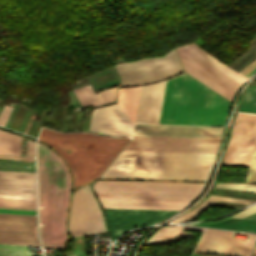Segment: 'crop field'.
I'll return each mask as SVG.
<instances>
[{
	"label": "crop field",
	"instance_id": "16",
	"mask_svg": "<svg viewBox=\"0 0 256 256\" xmlns=\"http://www.w3.org/2000/svg\"><path fill=\"white\" fill-rule=\"evenodd\" d=\"M165 82L142 86L135 122H159Z\"/></svg>",
	"mask_w": 256,
	"mask_h": 256
},
{
	"label": "crop field",
	"instance_id": "17",
	"mask_svg": "<svg viewBox=\"0 0 256 256\" xmlns=\"http://www.w3.org/2000/svg\"><path fill=\"white\" fill-rule=\"evenodd\" d=\"M0 194L35 196V173L0 171Z\"/></svg>",
	"mask_w": 256,
	"mask_h": 256
},
{
	"label": "crop field",
	"instance_id": "4",
	"mask_svg": "<svg viewBox=\"0 0 256 256\" xmlns=\"http://www.w3.org/2000/svg\"><path fill=\"white\" fill-rule=\"evenodd\" d=\"M229 102L186 73L166 82L159 124L224 125Z\"/></svg>",
	"mask_w": 256,
	"mask_h": 256
},
{
	"label": "crop field",
	"instance_id": "27",
	"mask_svg": "<svg viewBox=\"0 0 256 256\" xmlns=\"http://www.w3.org/2000/svg\"><path fill=\"white\" fill-rule=\"evenodd\" d=\"M0 256H43L30 253L28 246L0 244Z\"/></svg>",
	"mask_w": 256,
	"mask_h": 256
},
{
	"label": "crop field",
	"instance_id": "6",
	"mask_svg": "<svg viewBox=\"0 0 256 256\" xmlns=\"http://www.w3.org/2000/svg\"><path fill=\"white\" fill-rule=\"evenodd\" d=\"M121 85H140L169 77L182 70L174 50L164 57L148 58L116 66Z\"/></svg>",
	"mask_w": 256,
	"mask_h": 256
},
{
	"label": "crop field",
	"instance_id": "42",
	"mask_svg": "<svg viewBox=\"0 0 256 256\" xmlns=\"http://www.w3.org/2000/svg\"><path fill=\"white\" fill-rule=\"evenodd\" d=\"M71 256H84V254H76V255H71Z\"/></svg>",
	"mask_w": 256,
	"mask_h": 256
},
{
	"label": "crop field",
	"instance_id": "13",
	"mask_svg": "<svg viewBox=\"0 0 256 256\" xmlns=\"http://www.w3.org/2000/svg\"><path fill=\"white\" fill-rule=\"evenodd\" d=\"M0 243L40 246L35 216L0 214Z\"/></svg>",
	"mask_w": 256,
	"mask_h": 256
},
{
	"label": "crop field",
	"instance_id": "39",
	"mask_svg": "<svg viewBox=\"0 0 256 256\" xmlns=\"http://www.w3.org/2000/svg\"><path fill=\"white\" fill-rule=\"evenodd\" d=\"M0 197H13V198H28V199H35V197H28V196H13V195H0Z\"/></svg>",
	"mask_w": 256,
	"mask_h": 256
},
{
	"label": "crop field",
	"instance_id": "5",
	"mask_svg": "<svg viewBox=\"0 0 256 256\" xmlns=\"http://www.w3.org/2000/svg\"><path fill=\"white\" fill-rule=\"evenodd\" d=\"M38 140L63 157L76 187L98 178L129 138L102 137L91 133L59 134L42 128Z\"/></svg>",
	"mask_w": 256,
	"mask_h": 256
},
{
	"label": "crop field",
	"instance_id": "41",
	"mask_svg": "<svg viewBox=\"0 0 256 256\" xmlns=\"http://www.w3.org/2000/svg\"><path fill=\"white\" fill-rule=\"evenodd\" d=\"M0 157H10V158H25V159H32V158H26V157H11V156H0Z\"/></svg>",
	"mask_w": 256,
	"mask_h": 256
},
{
	"label": "crop field",
	"instance_id": "20",
	"mask_svg": "<svg viewBox=\"0 0 256 256\" xmlns=\"http://www.w3.org/2000/svg\"><path fill=\"white\" fill-rule=\"evenodd\" d=\"M141 86L119 88L117 104L134 122Z\"/></svg>",
	"mask_w": 256,
	"mask_h": 256
},
{
	"label": "crop field",
	"instance_id": "11",
	"mask_svg": "<svg viewBox=\"0 0 256 256\" xmlns=\"http://www.w3.org/2000/svg\"><path fill=\"white\" fill-rule=\"evenodd\" d=\"M245 234H248L246 241L233 238V232L205 229L194 252L228 256H249L256 241V234Z\"/></svg>",
	"mask_w": 256,
	"mask_h": 256
},
{
	"label": "crop field",
	"instance_id": "15",
	"mask_svg": "<svg viewBox=\"0 0 256 256\" xmlns=\"http://www.w3.org/2000/svg\"><path fill=\"white\" fill-rule=\"evenodd\" d=\"M223 127L135 124L133 135L220 138Z\"/></svg>",
	"mask_w": 256,
	"mask_h": 256
},
{
	"label": "crop field",
	"instance_id": "40",
	"mask_svg": "<svg viewBox=\"0 0 256 256\" xmlns=\"http://www.w3.org/2000/svg\"><path fill=\"white\" fill-rule=\"evenodd\" d=\"M65 111H66V108H64V111H63V117H62L61 126H63V123H64ZM61 130H63V127H61Z\"/></svg>",
	"mask_w": 256,
	"mask_h": 256
},
{
	"label": "crop field",
	"instance_id": "44",
	"mask_svg": "<svg viewBox=\"0 0 256 256\" xmlns=\"http://www.w3.org/2000/svg\"><path fill=\"white\" fill-rule=\"evenodd\" d=\"M255 249V248H254Z\"/></svg>",
	"mask_w": 256,
	"mask_h": 256
},
{
	"label": "crop field",
	"instance_id": "23",
	"mask_svg": "<svg viewBox=\"0 0 256 256\" xmlns=\"http://www.w3.org/2000/svg\"><path fill=\"white\" fill-rule=\"evenodd\" d=\"M20 137L0 130V155L18 156Z\"/></svg>",
	"mask_w": 256,
	"mask_h": 256
},
{
	"label": "crop field",
	"instance_id": "37",
	"mask_svg": "<svg viewBox=\"0 0 256 256\" xmlns=\"http://www.w3.org/2000/svg\"><path fill=\"white\" fill-rule=\"evenodd\" d=\"M45 111V110H44ZM49 111V110H47ZM42 112L43 110L41 111V115H40V119H41V116H42ZM51 118H52V115L51 114H47V113H44L43 112V116H42V119L41 120H47V121H51ZM39 119V120H40Z\"/></svg>",
	"mask_w": 256,
	"mask_h": 256
},
{
	"label": "crop field",
	"instance_id": "36",
	"mask_svg": "<svg viewBox=\"0 0 256 256\" xmlns=\"http://www.w3.org/2000/svg\"><path fill=\"white\" fill-rule=\"evenodd\" d=\"M35 142L28 140L27 156L34 157Z\"/></svg>",
	"mask_w": 256,
	"mask_h": 256
},
{
	"label": "crop field",
	"instance_id": "18",
	"mask_svg": "<svg viewBox=\"0 0 256 256\" xmlns=\"http://www.w3.org/2000/svg\"><path fill=\"white\" fill-rule=\"evenodd\" d=\"M116 87L108 88L95 94L92 86L89 84L74 89V92L79 99L82 107L90 104L92 106H97L105 103L115 102Z\"/></svg>",
	"mask_w": 256,
	"mask_h": 256
},
{
	"label": "crop field",
	"instance_id": "33",
	"mask_svg": "<svg viewBox=\"0 0 256 256\" xmlns=\"http://www.w3.org/2000/svg\"><path fill=\"white\" fill-rule=\"evenodd\" d=\"M200 212L201 211H198V210H192V211L180 216L179 218H177L176 220H174L171 223H177V222H182V221H186V220H195Z\"/></svg>",
	"mask_w": 256,
	"mask_h": 256
},
{
	"label": "crop field",
	"instance_id": "22",
	"mask_svg": "<svg viewBox=\"0 0 256 256\" xmlns=\"http://www.w3.org/2000/svg\"><path fill=\"white\" fill-rule=\"evenodd\" d=\"M186 47L195 52L196 54H198L199 56H201L202 58H204L205 60H207L208 62H210L211 64H213L215 67H217L218 69H220L221 71H223L239 83L242 84L244 81L247 80L235 71H233L232 69H230L229 67H227L226 65H224L223 63H221L220 61H218L217 59H215L214 57H212L211 55H209L208 53H206L205 51H203L202 49H200L199 47H197L196 45L191 44L186 45Z\"/></svg>",
	"mask_w": 256,
	"mask_h": 256
},
{
	"label": "crop field",
	"instance_id": "25",
	"mask_svg": "<svg viewBox=\"0 0 256 256\" xmlns=\"http://www.w3.org/2000/svg\"><path fill=\"white\" fill-rule=\"evenodd\" d=\"M0 212L35 214L34 203L0 201Z\"/></svg>",
	"mask_w": 256,
	"mask_h": 256
},
{
	"label": "crop field",
	"instance_id": "12",
	"mask_svg": "<svg viewBox=\"0 0 256 256\" xmlns=\"http://www.w3.org/2000/svg\"><path fill=\"white\" fill-rule=\"evenodd\" d=\"M111 239L131 228L154 224L178 211L103 209Z\"/></svg>",
	"mask_w": 256,
	"mask_h": 256
},
{
	"label": "crop field",
	"instance_id": "2",
	"mask_svg": "<svg viewBox=\"0 0 256 256\" xmlns=\"http://www.w3.org/2000/svg\"><path fill=\"white\" fill-rule=\"evenodd\" d=\"M203 184L104 180L92 189L102 208L181 210Z\"/></svg>",
	"mask_w": 256,
	"mask_h": 256
},
{
	"label": "crop field",
	"instance_id": "29",
	"mask_svg": "<svg viewBox=\"0 0 256 256\" xmlns=\"http://www.w3.org/2000/svg\"><path fill=\"white\" fill-rule=\"evenodd\" d=\"M218 200L244 203V204H249V203L253 202L252 200H244V199H237V198H229V197L211 195L203 204H201L196 209L204 210V209L208 208L209 206H211L212 204H214L215 202H217Z\"/></svg>",
	"mask_w": 256,
	"mask_h": 256
},
{
	"label": "crop field",
	"instance_id": "34",
	"mask_svg": "<svg viewBox=\"0 0 256 256\" xmlns=\"http://www.w3.org/2000/svg\"><path fill=\"white\" fill-rule=\"evenodd\" d=\"M254 212H256V204L253 205V206H250V207H248V208H246V209H244V210H242V211H240V212H238V213H236L232 216L244 217V216L249 215V214L254 213Z\"/></svg>",
	"mask_w": 256,
	"mask_h": 256
},
{
	"label": "crop field",
	"instance_id": "7",
	"mask_svg": "<svg viewBox=\"0 0 256 256\" xmlns=\"http://www.w3.org/2000/svg\"><path fill=\"white\" fill-rule=\"evenodd\" d=\"M69 231L72 238L107 232L101 210L88 185L78 189L73 195Z\"/></svg>",
	"mask_w": 256,
	"mask_h": 256
},
{
	"label": "crop field",
	"instance_id": "35",
	"mask_svg": "<svg viewBox=\"0 0 256 256\" xmlns=\"http://www.w3.org/2000/svg\"><path fill=\"white\" fill-rule=\"evenodd\" d=\"M6 108H7V106H4V108H3V110H2V112H1V114H0V120H1V118H2V116H3V114H4V112H5ZM12 108H13V107H9V108H8V110H7V112H6V114H5V116H4V118H3V120H2V122H1L0 125H2V126L5 125V123H6L7 119H8V116H9V114H10Z\"/></svg>",
	"mask_w": 256,
	"mask_h": 256
},
{
	"label": "crop field",
	"instance_id": "21",
	"mask_svg": "<svg viewBox=\"0 0 256 256\" xmlns=\"http://www.w3.org/2000/svg\"><path fill=\"white\" fill-rule=\"evenodd\" d=\"M195 225L256 232V220H248V219L228 218L221 222L201 223V224H195Z\"/></svg>",
	"mask_w": 256,
	"mask_h": 256
},
{
	"label": "crop field",
	"instance_id": "3",
	"mask_svg": "<svg viewBox=\"0 0 256 256\" xmlns=\"http://www.w3.org/2000/svg\"><path fill=\"white\" fill-rule=\"evenodd\" d=\"M215 155L121 151L101 177L206 180Z\"/></svg>",
	"mask_w": 256,
	"mask_h": 256
},
{
	"label": "crop field",
	"instance_id": "9",
	"mask_svg": "<svg viewBox=\"0 0 256 256\" xmlns=\"http://www.w3.org/2000/svg\"><path fill=\"white\" fill-rule=\"evenodd\" d=\"M185 71L231 100L236 89L241 85L210 63L182 46L176 48Z\"/></svg>",
	"mask_w": 256,
	"mask_h": 256
},
{
	"label": "crop field",
	"instance_id": "43",
	"mask_svg": "<svg viewBox=\"0 0 256 256\" xmlns=\"http://www.w3.org/2000/svg\"><path fill=\"white\" fill-rule=\"evenodd\" d=\"M251 256H256V250H254L253 254Z\"/></svg>",
	"mask_w": 256,
	"mask_h": 256
},
{
	"label": "crop field",
	"instance_id": "19",
	"mask_svg": "<svg viewBox=\"0 0 256 256\" xmlns=\"http://www.w3.org/2000/svg\"><path fill=\"white\" fill-rule=\"evenodd\" d=\"M203 229L204 228L189 226L164 227L161 228L145 245L178 242L183 237L192 236V232L183 230L202 232Z\"/></svg>",
	"mask_w": 256,
	"mask_h": 256
},
{
	"label": "crop field",
	"instance_id": "28",
	"mask_svg": "<svg viewBox=\"0 0 256 256\" xmlns=\"http://www.w3.org/2000/svg\"><path fill=\"white\" fill-rule=\"evenodd\" d=\"M212 194L256 200V193H250V192H242V191H234V190L215 188Z\"/></svg>",
	"mask_w": 256,
	"mask_h": 256
},
{
	"label": "crop field",
	"instance_id": "14",
	"mask_svg": "<svg viewBox=\"0 0 256 256\" xmlns=\"http://www.w3.org/2000/svg\"><path fill=\"white\" fill-rule=\"evenodd\" d=\"M133 123L115 105L95 108L89 131L131 137Z\"/></svg>",
	"mask_w": 256,
	"mask_h": 256
},
{
	"label": "crop field",
	"instance_id": "32",
	"mask_svg": "<svg viewBox=\"0 0 256 256\" xmlns=\"http://www.w3.org/2000/svg\"><path fill=\"white\" fill-rule=\"evenodd\" d=\"M256 72V59L253 60L251 63L245 65L238 73L243 75L245 78H249Z\"/></svg>",
	"mask_w": 256,
	"mask_h": 256
},
{
	"label": "crop field",
	"instance_id": "24",
	"mask_svg": "<svg viewBox=\"0 0 256 256\" xmlns=\"http://www.w3.org/2000/svg\"><path fill=\"white\" fill-rule=\"evenodd\" d=\"M0 170L35 172L34 159H10L0 158Z\"/></svg>",
	"mask_w": 256,
	"mask_h": 256
},
{
	"label": "crop field",
	"instance_id": "26",
	"mask_svg": "<svg viewBox=\"0 0 256 256\" xmlns=\"http://www.w3.org/2000/svg\"><path fill=\"white\" fill-rule=\"evenodd\" d=\"M239 111L256 113V86H248L243 93Z\"/></svg>",
	"mask_w": 256,
	"mask_h": 256
},
{
	"label": "crop field",
	"instance_id": "38",
	"mask_svg": "<svg viewBox=\"0 0 256 256\" xmlns=\"http://www.w3.org/2000/svg\"><path fill=\"white\" fill-rule=\"evenodd\" d=\"M0 200H13V201H27V202H35V200H27V199H13V198H0ZM36 208V207H35Z\"/></svg>",
	"mask_w": 256,
	"mask_h": 256
},
{
	"label": "crop field",
	"instance_id": "8",
	"mask_svg": "<svg viewBox=\"0 0 256 256\" xmlns=\"http://www.w3.org/2000/svg\"><path fill=\"white\" fill-rule=\"evenodd\" d=\"M219 140L133 136L123 150L216 153Z\"/></svg>",
	"mask_w": 256,
	"mask_h": 256
},
{
	"label": "crop field",
	"instance_id": "10",
	"mask_svg": "<svg viewBox=\"0 0 256 256\" xmlns=\"http://www.w3.org/2000/svg\"><path fill=\"white\" fill-rule=\"evenodd\" d=\"M256 136V114L237 113L224 165L248 166Z\"/></svg>",
	"mask_w": 256,
	"mask_h": 256
},
{
	"label": "crop field",
	"instance_id": "31",
	"mask_svg": "<svg viewBox=\"0 0 256 256\" xmlns=\"http://www.w3.org/2000/svg\"><path fill=\"white\" fill-rule=\"evenodd\" d=\"M216 187L256 192V184H216Z\"/></svg>",
	"mask_w": 256,
	"mask_h": 256
},
{
	"label": "crop field",
	"instance_id": "1",
	"mask_svg": "<svg viewBox=\"0 0 256 256\" xmlns=\"http://www.w3.org/2000/svg\"><path fill=\"white\" fill-rule=\"evenodd\" d=\"M37 176L39 234L43 248H62L67 239L64 220L70 177L57 155L39 143Z\"/></svg>",
	"mask_w": 256,
	"mask_h": 256
},
{
	"label": "crop field",
	"instance_id": "30",
	"mask_svg": "<svg viewBox=\"0 0 256 256\" xmlns=\"http://www.w3.org/2000/svg\"><path fill=\"white\" fill-rule=\"evenodd\" d=\"M245 182H256V141Z\"/></svg>",
	"mask_w": 256,
	"mask_h": 256
}]
</instances>
